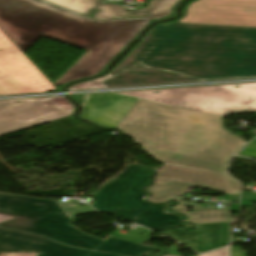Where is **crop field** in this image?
I'll return each instance as SVG.
<instances>
[{
  "label": "crop field",
  "mask_w": 256,
  "mask_h": 256,
  "mask_svg": "<svg viewBox=\"0 0 256 256\" xmlns=\"http://www.w3.org/2000/svg\"><path fill=\"white\" fill-rule=\"evenodd\" d=\"M116 129L166 163L148 189L154 194L149 200L171 201L191 186L238 194V182L225 169L246 143L224 128L222 118L139 99Z\"/></svg>",
  "instance_id": "crop-field-1"
},
{
  "label": "crop field",
  "mask_w": 256,
  "mask_h": 256,
  "mask_svg": "<svg viewBox=\"0 0 256 256\" xmlns=\"http://www.w3.org/2000/svg\"><path fill=\"white\" fill-rule=\"evenodd\" d=\"M110 74L106 88L256 77V28L159 25Z\"/></svg>",
  "instance_id": "crop-field-2"
},
{
  "label": "crop field",
  "mask_w": 256,
  "mask_h": 256,
  "mask_svg": "<svg viewBox=\"0 0 256 256\" xmlns=\"http://www.w3.org/2000/svg\"><path fill=\"white\" fill-rule=\"evenodd\" d=\"M149 21H95L39 0H12L0 8V28L23 52L41 36L90 50L55 86L98 74Z\"/></svg>",
  "instance_id": "crop-field-3"
},
{
  "label": "crop field",
  "mask_w": 256,
  "mask_h": 256,
  "mask_svg": "<svg viewBox=\"0 0 256 256\" xmlns=\"http://www.w3.org/2000/svg\"><path fill=\"white\" fill-rule=\"evenodd\" d=\"M0 214L16 217L0 223V227L43 235L74 247L123 256H143L161 250L112 236L105 241L88 236L73 228L52 200L0 193Z\"/></svg>",
  "instance_id": "crop-field-4"
},
{
  "label": "crop field",
  "mask_w": 256,
  "mask_h": 256,
  "mask_svg": "<svg viewBox=\"0 0 256 256\" xmlns=\"http://www.w3.org/2000/svg\"><path fill=\"white\" fill-rule=\"evenodd\" d=\"M155 172L153 168L128 164L120 175L99 190V211L154 231L172 226L190 228L191 225L180 222L181 217L163 213L170 204L152 205L143 200L148 194L142 188L151 184V174Z\"/></svg>",
  "instance_id": "crop-field-5"
},
{
  "label": "crop field",
  "mask_w": 256,
  "mask_h": 256,
  "mask_svg": "<svg viewBox=\"0 0 256 256\" xmlns=\"http://www.w3.org/2000/svg\"><path fill=\"white\" fill-rule=\"evenodd\" d=\"M220 117L256 111V83L121 93Z\"/></svg>",
  "instance_id": "crop-field-6"
},
{
  "label": "crop field",
  "mask_w": 256,
  "mask_h": 256,
  "mask_svg": "<svg viewBox=\"0 0 256 256\" xmlns=\"http://www.w3.org/2000/svg\"><path fill=\"white\" fill-rule=\"evenodd\" d=\"M65 98L0 101V135L70 116Z\"/></svg>",
  "instance_id": "crop-field-7"
},
{
  "label": "crop field",
  "mask_w": 256,
  "mask_h": 256,
  "mask_svg": "<svg viewBox=\"0 0 256 256\" xmlns=\"http://www.w3.org/2000/svg\"><path fill=\"white\" fill-rule=\"evenodd\" d=\"M57 90L16 47L0 51V96Z\"/></svg>",
  "instance_id": "crop-field-8"
},
{
  "label": "crop field",
  "mask_w": 256,
  "mask_h": 256,
  "mask_svg": "<svg viewBox=\"0 0 256 256\" xmlns=\"http://www.w3.org/2000/svg\"><path fill=\"white\" fill-rule=\"evenodd\" d=\"M177 23L256 27V0H200Z\"/></svg>",
  "instance_id": "crop-field-9"
},
{
  "label": "crop field",
  "mask_w": 256,
  "mask_h": 256,
  "mask_svg": "<svg viewBox=\"0 0 256 256\" xmlns=\"http://www.w3.org/2000/svg\"><path fill=\"white\" fill-rule=\"evenodd\" d=\"M40 252L38 256H115L54 243L42 236L0 228V253Z\"/></svg>",
  "instance_id": "crop-field-10"
},
{
  "label": "crop field",
  "mask_w": 256,
  "mask_h": 256,
  "mask_svg": "<svg viewBox=\"0 0 256 256\" xmlns=\"http://www.w3.org/2000/svg\"><path fill=\"white\" fill-rule=\"evenodd\" d=\"M137 100L117 93L90 95L82 117L115 128Z\"/></svg>",
  "instance_id": "crop-field-11"
},
{
  "label": "crop field",
  "mask_w": 256,
  "mask_h": 256,
  "mask_svg": "<svg viewBox=\"0 0 256 256\" xmlns=\"http://www.w3.org/2000/svg\"><path fill=\"white\" fill-rule=\"evenodd\" d=\"M199 229L184 232L174 229L164 235L184 243L198 253L210 251L228 244L229 223L198 225Z\"/></svg>",
  "instance_id": "crop-field-12"
},
{
  "label": "crop field",
  "mask_w": 256,
  "mask_h": 256,
  "mask_svg": "<svg viewBox=\"0 0 256 256\" xmlns=\"http://www.w3.org/2000/svg\"><path fill=\"white\" fill-rule=\"evenodd\" d=\"M179 0H153L148 8L129 10L115 4H99L95 19L149 16L152 20L171 15V9ZM130 13H127V12ZM134 13V15H130Z\"/></svg>",
  "instance_id": "crop-field-13"
},
{
  "label": "crop field",
  "mask_w": 256,
  "mask_h": 256,
  "mask_svg": "<svg viewBox=\"0 0 256 256\" xmlns=\"http://www.w3.org/2000/svg\"><path fill=\"white\" fill-rule=\"evenodd\" d=\"M180 204L174 206L171 210L187 216L188 221L196 224L229 222L230 217L226 209L218 210L215 208H200L199 205L189 204L177 198ZM188 208L196 210L193 213H186Z\"/></svg>",
  "instance_id": "crop-field-14"
},
{
  "label": "crop field",
  "mask_w": 256,
  "mask_h": 256,
  "mask_svg": "<svg viewBox=\"0 0 256 256\" xmlns=\"http://www.w3.org/2000/svg\"><path fill=\"white\" fill-rule=\"evenodd\" d=\"M87 16L91 10L97 7L101 0H45Z\"/></svg>",
  "instance_id": "crop-field-15"
},
{
  "label": "crop field",
  "mask_w": 256,
  "mask_h": 256,
  "mask_svg": "<svg viewBox=\"0 0 256 256\" xmlns=\"http://www.w3.org/2000/svg\"><path fill=\"white\" fill-rule=\"evenodd\" d=\"M71 222L79 215L96 212L93 209H76L75 204L57 201Z\"/></svg>",
  "instance_id": "crop-field-16"
},
{
  "label": "crop field",
  "mask_w": 256,
  "mask_h": 256,
  "mask_svg": "<svg viewBox=\"0 0 256 256\" xmlns=\"http://www.w3.org/2000/svg\"><path fill=\"white\" fill-rule=\"evenodd\" d=\"M111 77H113V76L108 75L107 77H104L101 79L81 83L79 85L72 87L70 90L76 91V90H85V89H90V88H103L104 87L103 80L110 79Z\"/></svg>",
  "instance_id": "crop-field-17"
},
{
  "label": "crop field",
  "mask_w": 256,
  "mask_h": 256,
  "mask_svg": "<svg viewBox=\"0 0 256 256\" xmlns=\"http://www.w3.org/2000/svg\"><path fill=\"white\" fill-rule=\"evenodd\" d=\"M147 231H149V230H147L143 227H138L137 229L130 231L128 236H126V235L123 236V235L118 234V233H114L112 235L137 242L138 240L141 239V236L139 235V233L144 234Z\"/></svg>",
  "instance_id": "crop-field-18"
},
{
  "label": "crop field",
  "mask_w": 256,
  "mask_h": 256,
  "mask_svg": "<svg viewBox=\"0 0 256 256\" xmlns=\"http://www.w3.org/2000/svg\"><path fill=\"white\" fill-rule=\"evenodd\" d=\"M242 206H251L250 201L256 202V193L242 191Z\"/></svg>",
  "instance_id": "crop-field-19"
},
{
  "label": "crop field",
  "mask_w": 256,
  "mask_h": 256,
  "mask_svg": "<svg viewBox=\"0 0 256 256\" xmlns=\"http://www.w3.org/2000/svg\"><path fill=\"white\" fill-rule=\"evenodd\" d=\"M240 154L256 158V139Z\"/></svg>",
  "instance_id": "crop-field-20"
},
{
  "label": "crop field",
  "mask_w": 256,
  "mask_h": 256,
  "mask_svg": "<svg viewBox=\"0 0 256 256\" xmlns=\"http://www.w3.org/2000/svg\"><path fill=\"white\" fill-rule=\"evenodd\" d=\"M165 256H174V255L166 254ZM199 256H228V248H223V249L206 253L203 255H199Z\"/></svg>",
  "instance_id": "crop-field-21"
},
{
  "label": "crop field",
  "mask_w": 256,
  "mask_h": 256,
  "mask_svg": "<svg viewBox=\"0 0 256 256\" xmlns=\"http://www.w3.org/2000/svg\"><path fill=\"white\" fill-rule=\"evenodd\" d=\"M13 43L10 41V39L2 40L0 41V49L8 48V47H13Z\"/></svg>",
  "instance_id": "crop-field-22"
},
{
  "label": "crop field",
  "mask_w": 256,
  "mask_h": 256,
  "mask_svg": "<svg viewBox=\"0 0 256 256\" xmlns=\"http://www.w3.org/2000/svg\"><path fill=\"white\" fill-rule=\"evenodd\" d=\"M38 253L0 254V256H36Z\"/></svg>",
  "instance_id": "crop-field-23"
},
{
  "label": "crop field",
  "mask_w": 256,
  "mask_h": 256,
  "mask_svg": "<svg viewBox=\"0 0 256 256\" xmlns=\"http://www.w3.org/2000/svg\"><path fill=\"white\" fill-rule=\"evenodd\" d=\"M72 97L75 98L80 104L84 106L88 95L72 96Z\"/></svg>",
  "instance_id": "crop-field-24"
},
{
  "label": "crop field",
  "mask_w": 256,
  "mask_h": 256,
  "mask_svg": "<svg viewBox=\"0 0 256 256\" xmlns=\"http://www.w3.org/2000/svg\"><path fill=\"white\" fill-rule=\"evenodd\" d=\"M231 212H238V204L232 203Z\"/></svg>",
  "instance_id": "crop-field-25"
},
{
  "label": "crop field",
  "mask_w": 256,
  "mask_h": 256,
  "mask_svg": "<svg viewBox=\"0 0 256 256\" xmlns=\"http://www.w3.org/2000/svg\"><path fill=\"white\" fill-rule=\"evenodd\" d=\"M12 218L13 217H8V216L0 215V222L6 221V220H9V219H12Z\"/></svg>",
  "instance_id": "crop-field-26"
},
{
  "label": "crop field",
  "mask_w": 256,
  "mask_h": 256,
  "mask_svg": "<svg viewBox=\"0 0 256 256\" xmlns=\"http://www.w3.org/2000/svg\"><path fill=\"white\" fill-rule=\"evenodd\" d=\"M93 207H95L98 210V194L95 196V201H94Z\"/></svg>",
  "instance_id": "crop-field-27"
},
{
  "label": "crop field",
  "mask_w": 256,
  "mask_h": 256,
  "mask_svg": "<svg viewBox=\"0 0 256 256\" xmlns=\"http://www.w3.org/2000/svg\"><path fill=\"white\" fill-rule=\"evenodd\" d=\"M11 0H0V7H2L3 5H5L6 3H8Z\"/></svg>",
  "instance_id": "crop-field-28"
},
{
  "label": "crop field",
  "mask_w": 256,
  "mask_h": 256,
  "mask_svg": "<svg viewBox=\"0 0 256 256\" xmlns=\"http://www.w3.org/2000/svg\"><path fill=\"white\" fill-rule=\"evenodd\" d=\"M227 201H233L232 195L226 194Z\"/></svg>",
  "instance_id": "crop-field-29"
},
{
  "label": "crop field",
  "mask_w": 256,
  "mask_h": 256,
  "mask_svg": "<svg viewBox=\"0 0 256 256\" xmlns=\"http://www.w3.org/2000/svg\"><path fill=\"white\" fill-rule=\"evenodd\" d=\"M234 201H238V195H233Z\"/></svg>",
  "instance_id": "crop-field-30"
},
{
  "label": "crop field",
  "mask_w": 256,
  "mask_h": 256,
  "mask_svg": "<svg viewBox=\"0 0 256 256\" xmlns=\"http://www.w3.org/2000/svg\"><path fill=\"white\" fill-rule=\"evenodd\" d=\"M1 38H5V37H4L3 34L0 32V39H1Z\"/></svg>",
  "instance_id": "crop-field-31"
},
{
  "label": "crop field",
  "mask_w": 256,
  "mask_h": 256,
  "mask_svg": "<svg viewBox=\"0 0 256 256\" xmlns=\"http://www.w3.org/2000/svg\"><path fill=\"white\" fill-rule=\"evenodd\" d=\"M1 31V30H0ZM2 32V31H1ZM3 33V32H2ZM4 34V33H3ZM4 36H6L5 34H4ZM7 37V36H6ZM8 38V37H7ZM2 40V39H1Z\"/></svg>",
  "instance_id": "crop-field-32"
}]
</instances>
